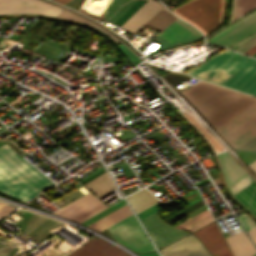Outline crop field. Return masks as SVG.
I'll return each instance as SVG.
<instances>
[{
	"label": "crop field",
	"mask_w": 256,
	"mask_h": 256,
	"mask_svg": "<svg viewBox=\"0 0 256 256\" xmlns=\"http://www.w3.org/2000/svg\"><path fill=\"white\" fill-rule=\"evenodd\" d=\"M256 256V255H255Z\"/></svg>",
	"instance_id": "crop-field-38"
},
{
	"label": "crop field",
	"mask_w": 256,
	"mask_h": 256,
	"mask_svg": "<svg viewBox=\"0 0 256 256\" xmlns=\"http://www.w3.org/2000/svg\"><path fill=\"white\" fill-rule=\"evenodd\" d=\"M15 208L6 205V203L0 202V219L12 212Z\"/></svg>",
	"instance_id": "crop-field-31"
},
{
	"label": "crop field",
	"mask_w": 256,
	"mask_h": 256,
	"mask_svg": "<svg viewBox=\"0 0 256 256\" xmlns=\"http://www.w3.org/2000/svg\"><path fill=\"white\" fill-rule=\"evenodd\" d=\"M256 52V45H254L252 48L247 50L245 53H248L250 55L254 54Z\"/></svg>",
	"instance_id": "crop-field-35"
},
{
	"label": "crop field",
	"mask_w": 256,
	"mask_h": 256,
	"mask_svg": "<svg viewBox=\"0 0 256 256\" xmlns=\"http://www.w3.org/2000/svg\"><path fill=\"white\" fill-rule=\"evenodd\" d=\"M158 37L164 39L171 48L202 39V35L198 31L178 19L159 34Z\"/></svg>",
	"instance_id": "crop-field-11"
},
{
	"label": "crop field",
	"mask_w": 256,
	"mask_h": 256,
	"mask_svg": "<svg viewBox=\"0 0 256 256\" xmlns=\"http://www.w3.org/2000/svg\"><path fill=\"white\" fill-rule=\"evenodd\" d=\"M215 256H233V254H232L230 248H228Z\"/></svg>",
	"instance_id": "crop-field-33"
},
{
	"label": "crop field",
	"mask_w": 256,
	"mask_h": 256,
	"mask_svg": "<svg viewBox=\"0 0 256 256\" xmlns=\"http://www.w3.org/2000/svg\"><path fill=\"white\" fill-rule=\"evenodd\" d=\"M176 19V17L168 13L166 9L163 8L150 21H148L146 25L161 32Z\"/></svg>",
	"instance_id": "crop-field-23"
},
{
	"label": "crop field",
	"mask_w": 256,
	"mask_h": 256,
	"mask_svg": "<svg viewBox=\"0 0 256 256\" xmlns=\"http://www.w3.org/2000/svg\"><path fill=\"white\" fill-rule=\"evenodd\" d=\"M160 252L162 256H210L191 234Z\"/></svg>",
	"instance_id": "crop-field-13"
},
{
	"label": "crop field",
	"mask_w": 256,
	"mask_h": 256,
	"mask_svg": "<svg viewBox=\"0 0 256 256\" xmlns=\"http://www.w3.org/2000/svg\"><path fill=\"white\" fill-rule=\"evenodd\" d=\"M67 256H129L116 246L94 236Z\"/></svg>",
	"instance_id": "crop-field-12"
},
{
	"label": "crop field",
	"mask_w": 256,
	"mask_h": 256,
	"mask_svg": "<svg viewBox=\"0 0 256 256\" xmlns=\"http://www.w3.org/2000/svg\"><path fill=\"white\" fill-rule=\"evenodd\" d=\"M106 172V171H105ZM99 198L116 189L107 172L84 184Z\"/></svg>",
	"instance_id": "crop-field-19"
},
{
	"label": "crop field",
	"mask_w": 256,
	"mask_h": 256,
	"mask_svg": "<svg viewBox=\"0 0 256 256\" xmlns=\"http://www.w3.org/2000/svg\"><path fill=\"white\" fill-rule=\"evenodd\" d=\"M252 181H254V180L248 175L245 178H243L242 180H240L239 182H237L234 185H232L231 187H229V189L233 194L236 191L243 188L244 186H246L247 184L251 183Z\"/></svg>",
	"instance_id": "crop-field-29"
},
{
	"label": "crop field",
	"mask_w": 256,
	"mask_h": 256,
	"mask_svg": "<svg viewBox=\"0 0 256 256\" xmlns=\"http://www.w3.org/2000/svg\"><path fill=\"white\" fill-rule=\"evenodd\" d=\"M53 185L6 144L0 147V193L26 202Z\"/></svg>",
	"instance_id": "crop-field-3"
},
{
	"label": "crop field",
	"mask_w": 256,
	"mask_h": 256,
	"mask_svg": "<svg viewBox=\"0 0 256 256\" xmlns=\"http://www.w3.org/2000/svg\"><path fill=\"white\" fill-rule=\"evenodd\" d=\"M105 208L107 207L99 202L96 197L90 193H87L63 208L57 210L54 212V214L70 220L73 219L80 223Z\"/></svg>",
	"instance_id": "crop-field-7"
},
{
	"label": "crop field",
	"mask_w": 256,
	"mask_h": 256,
	"mask_svg": "<svg viewBox=\"0 0 256 256\" xmlns=\"http://www.w3.org/2000/svg\"><path fill=\"white\" fill-rule=\"evenodd\" d=\"M234 150L256 151V137Z\"/></svg>",
	"instance_id": "crop-field-30"
},
{
	"label": "crop field",
	"mask_w": 256,
	"mask_h": 256,
	"mask_svg": "<svg viewBox=\"0 0 256 256\" xmlns=\"http://www.w3.org/2000/svg\"><path fill=\"white\" fill-rule=\"evenodd\" d=\"M130 214L132 213L128 206L125 204L120 208L114 210L113 212L109 213L108 215L104 216L103 218L99 219L98 221L92 223L88 227L100 232Z\"/></svg>",
	"instance_id": "crop-field-18"
},
{
	"label": "crop field",
	"mask_w": 256,
	"mask_h": 256,
	"mask_svg": "<svg viewBox=\"0 0 256 256\" xmlns=\"http://www.w3.org/2000/svg\"><path fill=\"white\" fill-rule=\"evenodd\" d=\"M232 25V24H231ZM256 31V11L236 22L232 26L218 32L209 42L230 46Z\"/></svg>",
	"instance_id": "crop-field-8"
},
{
	"label": "crop field",
	"mask_w": 256,
	"mask_h": 256,
	"mask_svg": "<svg viewBox=\"0 0 256 256\" xmlns=\"http://www.w3.org/2000/svg\"><path fill=\"white\" fill-rule=\"evenodd\" d=\"M62 11L37 0H0V14L36 13L55 17Z\"/></svg>",
	"instance_id": "crop-field-10"
},
{
	"label": "crop field",
	"mask_w": 256,
	"mask_h": 256,
	"mask_svg": "<svg viewBox=\"0 0 256 256\" xmlns=\"http://www.w3.org/2000/svg\"><path fill=\"white\" fill-rule=\"evenodd\" d=\"M241 216H237L244 228L247 230L256 226V223L250 219L243 211L239 212Z\"/></svg>",
	"instance_id": "crop-field-28"
},
{
	"label": "crop field",
	"mask_w": 256,
	"mask_h": 256,
	"mask_svg": "<svg viewBox=\"0 0 256 256\" xmlns=\"http://www.w3.org/2000/svg\"><path fill=\"white\" fill-rule=\"evenodd\" d=\"M235 197L241 201L251 212L256 215V182H252L240 191L236 192Z\"/></svg>",
	"instance_id": "crop-field-22"
},
{
	"label": "crop field",
	"mask_w": 256,
	"mask_h": 256,
	"mask_svg": "<svg viewBox=\"0 0 256 256\" xmlns=\"http://www.w3.org/2000/svg\"><path fill=\"white\" fill-rule=\"evenodd\" d=\"M192 234L203 242L204 246L212 256L228 248V245L215 222Z\"/></svg>",
	"instance_id": "crop-field-14"
},
{
	"label": "crop field",
	"mask_w": 256,
	"mask_h": 256,
	"mask_svg": "<svg viewBox=\"0 0 256 256\" xmlns=\"http://www.w3.org/2000/svg\"><path fill=\"white\" fill-rule=\"evenodd\" d=\"M156 207H157V204H155V205H153V206H151V207H149V208H147V209L137 213L139 218H140V220L145 218V217H147L148 215L156 212Z\"/></svg>",
	"instance_id": "crop-field-32"
},
{
	"label": "crop field",
	"mask_w": 256,
	"mask_h": 256,
	"mask_svg": "<svg viewBox=\"0 0 256 256\" xmlns=\"http://www.w3.org/2000/svg\"><path fill=\"white\" fill-rule=\"evenodd\" d=\"M137 0H112L106 9L105 19L115 22Z\"/></svg>",
	"instance_id": "crop-field-21"
},
{
	"label": "crop field",
	"mask_w": 256,
	"mask_h": 256,
	"mask_svg": "<svg viewBox=\"0 0 256 256\" xmlns=\"http://www.w3.org/2000/svg\"><path fill=\"white\" fill-rule=\"evenodd\" d=\"M256 7V0H234L232 21Z\"/></svg>",
	"instance_id": "crop-field-24"
},
{
	"label": "crop field",
	"mask_w": 256,
	"mask_h": 256,
	"mask_svg": "<svg viewBox=\"0 0 256 256\" xmlns=\"http://www.w3.org/2000/svg\"><path fill=\"white\" fill-rule=\"evenodd\" d=\"M234 149L256 136V105L214 128Z\"/></svg>",
	"instance_id": "crop-field-5"
},
{
	"label": "crop field",
	"mask_w": 256,
	"mask_h": 256,
	"mask_svg": "<svg viewBox=\"0 0 256 256\" xmlns=\"http://www.w3.org/2000/svg\"><path fill=\"white\" fill-rule=\"evenodd\" d=\"M147 0H138L127 12H125L115 24L121 26L134 12H136Z\"/></svg>",
	"instance_id": "crop-field-25"
},
{
	"label": "crop field",
	"mask_w": 256,
	"mask_h": 256,
	"mask_svg": "<svg viewBox=\"0 0 256 256\" xmlns=\"http://www.w3.org/2000/svg\"><path fill=\"white\" fill-rule=\"evenodd\" d=\"M151 238L155 242L158 249L176 241L177 239L187 235L188 233L174 229L166 225L154 213L149 217L141 220Z\"/></svg>",
	"instance_id": "crop-field-9"
},
{
	"label": "crop field",
	"mask_w": 256,
	"mask_h": 256,
	"mask_svg": "<svg viewBox=\"0 0 256 256\" xmlns=\"http://www.w3.org/2000/svg\"><path fill=\"white\" fill-rule=\"evenodd\" d=\"M250 167H251V169L256 173V160L255 161H253L252 163H250V164H248Z\"/></svg>",
	"instance_id": "crop-field-36"
},
{
	"label": "crop field",
	"mask_w": 256,
	"mask_h": 256,
	"mask_svg": "<svg viewBox=\"0 0 256 256\" xmlns=\"http://www.w3.org/2000/svg\"><path fill=\"white\" fill-rule=\"evenodd\" d=\"M248 234L250 235V237L252 238V240L254 241V243L256 244V228L248 231Z\"/></svg>",
	"instance_id": "crop-field-34"
},
{
	"label": "crop field",
	"mask_w": 256,
	"mask_h": 256,
	"mask_svg": "<svg viewBox=\"0 0 256 256\" xmlns=\"http://www.w3.org/2000/svg\"><path fill=\"white\" fill-rule=\"evenodd\" d=\"M255 43H256V33L254 35L248 37L247 39L243 40L242 42L236 44L232 48L243 52L246 49H248L249 47H251L252 45H254Z\"/></svg>",
	"instance_id": "crop-field-26"
},
{
	"label": "crop field",
	"mask_w": 256,
	"mask_h": 256,
	"mask_svg": "<svg viewBox=\"0 0 256 256\" xmlns=\"http://www.w3.org/2000/svg\"><path fill=\"white\" fill-rule=\"evenodd\" d=\"M127 198L136 213L157 203V199H155L145 189H142Z\"/></svg>",
	"instance_id": "crop-field-20"
},
{
	"label": "crop field",
	"mask_w": 256,
	"mask_h": 256,
	"mask_svg": "<svg viewBox=\"0 0 256 256\" xmlns=\"http://www.w3.org/2000/svg\"><path fill=\"white\" fill-rule=\"evenodd\" d=\"M228 187L248 175L229 155H218Z\"/></svg>",
	"instance_id": "crop-field-16"
},
{
	"label": "crop field",
	"mask_w": 256,
	"mask_h": 256,
	"mask_svg": "<svg viewBox=\"0 0 256 256\" xmlns=\"http://www.w3.org/2000/svg\"><path fill=\"white\" fill-rule=\"evenodd\" d=\"M163 6L148 0L135 14H133L121 27L135 32L149 20Z\"/></svg>",
	"instance_id": "crop-field-15"
},
{
	"label": "crop field",
	"mask_w": 256,
	"mask_h": 256,
	"mask_svg": "<svg viewBox=\"0 0 256 256\" xmlns=\"http://www.w3.org/2000/svg\"><path fill=\"white\" fill-rule=\"evenodd\" d=\"M107 229L114 240L135 252L154 249L133 214Z\"/></svg>",
	"instance_id": "crop-field-6"
},
{
	"label": "crop field",
	"mask_w": 256,
	"mask_h": 256,
	"mask_svg": "<svg viewBox=\"0 0 256 256\" xmlns=\"http://www.w3.org/2000/svg\"><path fill=\"white\" fill-rule=\"evenodd\" d=\"M226 240L234 256H251L256 252L244 231L226 237Z\"/></svg>",
	"instance_id": "crop-field-17"
},
{
	"label": "crop field",
	"mask_w": 256,
	"mask_h": 256,
	"mask_svg": "<svg viewBox=\"0 0 256 256\" xmlns=\"http://www.w3.org/2000/svg\"><path fill=\"white\" fill-rule=\"evenodd\" d=\"M57 17H59V18H66V19H72V20H77V21H80V22H83V23L90 24V25H92L93 27H95V28L101 30L100 28H98V27L94 26L93 24H91V23H89V22H87V21H85V20H83V19L77 17L76 15H74V14L68 12V11L62 12V13H61L60 15H58ZM90 25H89V26H90ZM101 31H103V30H101ZM103 32H104V31H103ZM104 33H106V32H104ZM106 34H107V33H106ZM107 35H108L109 37H111L117 44L120 43V42H118L116 39H114L112 36H110L109 34H107Z\"/></svg>",
	"instance_id": "crop-field-27"
},
{
	"label": "crop field",
	"mask_w": 256,
	"mask_h": 256,
	"mask_svg": "<svg viewBox=\"0 0 256 256\" xmlns=\"http://www.w3.org/2000/svg\"><path fill=\"white\" fill-rule=\"evenodd\" d=\"M225 9L226 0H192L172 12L187 20L206 36L223 23Z\"/></svg>",
	"instance_id": "crop-field-4"
},
{
	"label": "crop field",
	"mask_w": 256,
	"mask_h": 256,
	"mask_svg": "<svg viewBox=\"0 0 256 256\" xmlns=\"http://www.w3.org/2000/svg\"><path fill=\"white\" fill-rule=\"evenodd\" d=\"M54 1H57V2H60V3L64 4V3H66V2H68L70 0H54Z\"/></svg>",
	"instance_id": "crop-field-37"
},
{
	"label": "crop field",
	"mask_w": 256,
	"mask_h": 256,
	"mask_svg": "<svg viewBox=\"0 0 256 256\" xmlns=\"http://www.w3.org/2000/svg\"><path fill=\"white\" fill-rule=\"evenodd\" d=\"M187 74L256 95V60L228 50Z\"/></svg>",
	"instance_id": "crop-field-2"
},
{
	"label": "crop field",
	"mask_w": 256,
	"mask_h": 256,
	"mask_svg": "<svg viewBox=\"0 0 256 256\" xmlns=\"http://www.w3.org/2000/svg\"><path fill=\"white\" fill-rule=\"evenodd\" d=\"M180 93L208 120L213 128L256 104L255 97L204 81Z\"/></svg>",
	"instance_id": "crop-field-1"
}]
</instances>
